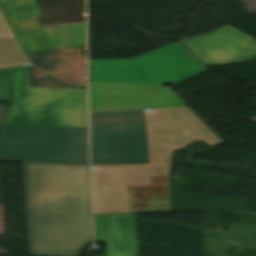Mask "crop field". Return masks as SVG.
Instances as JSON below:
<instances>
[{"label":"crop field","mask_w":256,"mask_h":256,"mask_svg":"<svg viewBox=\"0 0 256 256\" xmlns=\"http://www.w3.org/2000/svg\"><path fill=\"white\" fill-rule=\"evenodd\" d=\"M22 168L30 256H78L92 240L87 166Z\"/></svg>","instance_id":"obj_1"},{"label":"crop field","mask_w":256,"mask_h":256,"mask_svg":"<svg viewBox=\"0 0 256 256\" xmlns=\"http://www.w3.org/2000/svg\"><path fill=\"white\" fill-rule=\"evenodd\" d=\"M151 164L92 165L94 214L127 213L129 185L168 179L173 150L222 142L188 107L144 110ZM188 132V134H185Z\"/></svg>","instance_id":"obj_2"},{"label":"crop field","mask_w":256,"mask_h":256,"mask_svg":"<svg viewBox=\"0 0 256 256\" xmlns=\"http://www.w3.org/2000/svg\"><path fill=\"white\" fill-rule=\"evenodd\" d=\"M0 69V101H13L4 124L88 127L87 89L29 88L27 66Z\"/></svg>","instance_id":"obj_3"},{"label":"crop field","mask_w":256,"mask_h":256,"mask_svg":"<svg viewBox=\"0 0 256 256\" xmlns=\"http://www.w3.org/2000/svg\"><path fill=\"white\" fill-rule=\"evenodd\" d=\"M0 161L88 164V128L4 125Z\"/></svg>","instance_id":"obj_4"},{"label":"crop field","mask_w":256,"mask_h":256,"mask_svg":"<svg viewBox=\"0 0 256 256\" xmlns=\"http://www.w3.org/2000/svg\"><path fill=\"white\" fill-rule=\"evenodd\" d=\"M207 70L179 43L125 60H91V79L178 84Z\"/></svg>","instance_id":"obj_5"},{"label":"crop field","mask_w":256,"mask_h":256,"mask_svg":"<svg viewBox=\"0 0 256 256\" xmlns=\"http://www.w3.org/2000/svg\"><path fill=\"white\" fill-rule=\"evenodd\" d=\"M92 164L150 163L143 111L91 114Z\"/></svg>","instance_id":"obj_6"},{"label":"crop field","mask_w":256,"mask_h":256,"mask_svg":"<svg viewBox=\"0 0 256 256\" xmlns=\"http://www.w3.org/2000/svg\"><path fill=\"white\" fill-rule=\"evenodd\" d=\"M92 112L188 106L169 88L91 80Z\"/></svg>","instance_id":"obj_7"},{"label":"crop field","mask_w":256,"mask_h":256,"mask_svg":"<svg viewBox=\"0 0 256 256\" xmlns=\"http://www.w3.org/2000/svg\"><path fill=\"white\" fill-rule=\"evenodd\" d=\"M183 43L205 65L256 59V39L230 25Z\"/></svg>","instance_id":"obj_8"},{"label":"crop field","mask_w":256,"mask_h":256,"mask_svg":"<svg viewBox=\"0 0 256 256\" xmlns=\"http://www.w3.org/2000/svg\"><path fill=\"white\" fill-rule=\"evenodd\" d=\"M0 10L25 52L51 50L36 17V0H0Z\"/></svg>","instance_id":"obj_9"},{"label":"crop field","mask_w":256,"mask_h":256,"mask_svg":"<svg viewBox=\"0 0 256 256\" xmlns=\"http://www.w3.org/2000/svg\"><path fill=\"white\" fill-rule=\"evenodd\" d=\"M97 241L108 242L106 256H137L136 214L95 215Z\"/></svg>","instance_id":"obj_10"},{"label":"crop field","mask_w":256,"mask_h":256,"mask_svg":"<svg viewBox=\"0 0 256 256\" xmlns=\"http://www.w3.org/2000/svg\"><path fill=\"white\" fill-rule=\"evenodd\" d=\"M149 186H129V206L132 211H170L168 180H150Z\"/></svg>","instance_id":"obj_11"},{"label":"crop field","mask_w":256,"mask_h":256,"mask_svg":"<svg viewBox=\"0 0 256 256\" xmlns=\"http://www.w3.org/2000/svg\"><path fill=\"white\" fill-rule=\"evenodd\" d=\"M42 30L52 50L86 46V24L49 26Z\"/></svg>","instance_id":"obj_12"},{"label":"crop field","mask_w":256,"mask_h":256,"mask_svg":"<svg viewBox=\"0 0 256 256\" xmlns=\"http://www.w3.org/2000/svg\"><path fill=\"white\" fill-rule=\"evenodd\" d=\"M20 51L13 37H0V68L29 65Z\"/></svg>","instance_id":"obj_13"},{"label":"crop field","mask_w":256,"mask_h":256,"mask_svg":"<svg viewBox=\"0 0 256 256\" xmlns=\"http://www.w3.org/2000/svg\"><path fill=\"white\" fill-rule=\"evenodd\" d=\"M11 34L13 33L0 12V35H11Z\"/></svg>","instance_id":"obj_14"}]
</instances>
